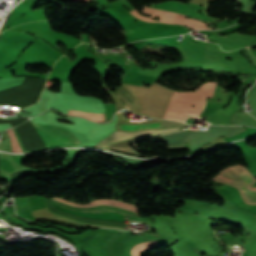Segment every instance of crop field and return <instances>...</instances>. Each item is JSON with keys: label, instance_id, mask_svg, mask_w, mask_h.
Wrapping results in <instances>:
<instances>
[{"label": "crop field", "instance_id": "obj_8", "mask_svg": "<svg viewBox=\"0 0 256 256\" xmlns=\"http://www.w3.org/2000/svg\"><path fill=\"white\" fill-rule=\"evenodd\" d=\"M160 124H149V125H119V129L135 130L143 128H159Z\"/></svg>", "mask_w": 256, "mask_h": 256}, {"label": "crop field", "instance_id": "obj_2", "mask_svg": "<svg viewBox=\"0 0 256 256\" xmlns=\"http://www.w3.org/2000/svg\"><path fill=\"white\" fill-rule=\"evenodd\" d=\"M53 199V198H51ZM51 199H47L45 206L47 208V210H49L51 213L55 214V215H59V216H63L66 218H70V219H74L77 220L81 223H87V224H96V225H105V226H115V227H123L126 228L127 224L126 223H120V222H111V221H103V220H94V219H87V218H83V217H79V216H75V215H71L65 212H61L59 210H57ZM58 199V198H55ZM53 199L54 201H56L57 203L72 208V209H76V210H81V211H98V212H107V213H114V214H120V215H125V216H130L132 215H138L139 214V210L137 207H135L134 205L131 204H127L124 203L122 201H118V200H114V199H104V198H99L93 202H90L88 204H74L71 202H68L66 200L63 199H58L66 204L69 205H74V206H80V207H112V208H118V209H122V210H118V209H111V208H80V207H73V206H69L66 204H63L57 200ZM136 220V219H135Z\"/></svg>", "mask_w": 256, "mask_h": 256}, {"label": "crop field", "instance_id": "obj_1", "mask_svg": "<svg viewBox=\"0 0 256 256\" xmlns=\"http://www.w3.org/2000/svg\"><path fill=\"white\" fill-rule=\"evenodd\" d=\"M151 7L159 8L162 10H166L169 12L177 13L180 15L187 16L189 15L190 17L193 18H198L201 19L207 23H213L216 22L217 18H208L206 10L207 8L205 7H199L198 5L194 4H184L176 1H166L160 4H152ZM151 7H146L144 6L142 12L146 14H152L150 17H144L140 14L137 13L136 9L133 10L132 13L134 16L141 20H145L148 22H163V23H173V24H182L189 26L194 29H211L207 27V24L201 22V21H196L194 19H186L184 16L176 15L173 13H169L166 11L158 10L155 8ZM202 10L203 15L199 14L198 11ZM159 16V21L157 20H152V18Z\"/></svg>", "mask_w": 256, "mask_h": 256}, {"label": "crop field", "instance_id": "obj_7", "mask_svg": "<svg viewBox=\"0 0 256 256\" xmlns=\"http://www.w3.org/2000/svg\"><path fill=\"white\" fill-rule=\"evenodd\" d=\"M176 130H180V129L174 128V129H165V130H142V131L131 132V133L117 131L112 135L108 136L107 138H105L95 147H99L103 149L107 145L121 141V140L144 137V136H160Z\"/></svg>", "mask_w": 256, "mask_h": 256}, {"label": "crop field", "instance_id": "obj_6", "mask_svg": "<svg viewBox=\"0 0 256 256\" xmlns=\"http://www.w3.org/2000/svg\"><path fill=\"white\" fill-rule=\"evenodd\" d=\"M142 240H154V238L152 237L151 234L130 236L126 240L124 247H123L124 255L125 256H130V255L131 256H140V253L143 251L160 247L155 241H142ZM140 241H142V242H140ZM137 242H140V243L132 246L133 244H135ZM106 247H107V245H106ZM129 248H130V255H129ZM107 251H108V249H107Z\"/></svg>", "mask_w": 256, "mask_h": 256}, {"label": "crop field", "instance_id": "obj_4", "mask_svg": "<svg viewBox=\"0 0 256 256\" xmlns=\"http://www.w3.org/2000/svg\"><path fill=\"white\" fill-rule=\"evenodd\" d=\"M213 179L237 187L245 202L256 204V188H250L256 179L245 167L241 165L229 167Z\"/></svg>", "mask_w": 256, "mask_h": 256}, {"label": "crop field", "instance_id": "obj_9", "mask_svg": "<svg viewBox=\"0 0 256 256\" xmlns=\"http://www.w3.org/2000/svg\"><path fill=\"white\" fill-rule=\"evenodd\" d=\"M127 64H129L127 61H125Z\"/></svg>", "mask_w": 256, "mask_h": 256}, {"label": "crop field", "instance_id": "obj_3", "mask_svg": "<svg viewBox=\"0 0 256 256\" xmlns=\"http://www.w3.org/2000/svg\"><path fill=\"white\" fill-rule=\"evenodd\" d=\"M215 83H204L197 92L174 93L164 118L184 122L188 113L199 114L204 106L205 97H212ZM194 104V107H191ZM189 114L188 117L199 115Z\"/></svg>", "mask_w": 256, "mask_h": 256}, {"label": "crop field", "instance_id": "obj_5", "mask_svg": "<svg viewBox=\"0 0 256 256\" xmlns=\"http://www.w3.org/2000/svg\"><path fill=\"white\" fill-rule=\"evenodd\" d=\"M39 132L41 133L42 137L46 141L49 147L45 148H53V147H66V146H74L78 145V142L75 138V136L68 130L57 127V126H51V125H41V124H35ZM18 141L22 147V144L20 142V139L17 135V132L15 128H13ZM45 148H39V149H33V150H27L23 151L24 152H29V151H35V150H40V149H45Z\"/></svg>", "mask_w": 256, "mask_h": 256}, {"label": "crop field", "instance_id": "obj_10", "mask_svg": "<svg viewBox=\"0 0 256 256\" xmlns=\"http://www.w3.org/2000/svg\"><path fill=\"white\" fill-rule=\"evenodd\" d=\"M92 119H95V118H92ZM98 120H101V119H98Z\"/></svg>", "mask_w": 256, "mask_h": 256}]
</instances>
